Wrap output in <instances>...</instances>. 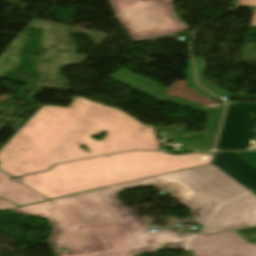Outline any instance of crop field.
Wrapping results in <instances>:
<instances>
[{
	"mask_svg": "<svg viewBox=\"0 0 256 256\" xmlns=\"http://www.w3.org/2000/svg\"><path fill=\"white\" fill-rule=\"evenodd\" d=\"M106 131L96 141L89 135ZM83 144L90 153L77 147ZM159 150L153 125H143L120 109L76 97L68 108L42 106L0 150V169L19 176L53 164L111 153Z\"/></svg>",
	"mask_w": 256,
	"mask_h": 256,
	"instance_id": "1",
	"label": "crop field"
},
{
	"mask_svg": "<svg viewBox=\"0 0 256 256\" xmlns=\"http://www.w3.org/2000/svg\"><path fill=\"white\" fill-rule=\"evenodd\" d=\"M148 184L172 190L169 194L189 207L193 220L201 225L222 203L249 192L209 164L56 199L52 220L57 230L126 222H141L148 227L149 222L137 218L117 198L121 191Z\"/></svg>",
	"mask_w": 256,
	"mask_h": 256,
	"instance_id": "2",
	"label": "crop field"
},
{
	"mask_svg": "<svg viewBox=\"0 0 256 256\" xmlns=\"http://www.w3.org/2000/svg\"><path fill=\"white\" fill-rule=\"evenodd\" d=\"M213 152L172 156L134 151L54 166L20 177V183L52 199L210 162Z\"/></svg>",
	"mask_w": 256,
	"mask_h": 256,
	"instance_id": "3",
	"label": "crop field"
},
{
	"mask_svg": "<svg viewBox=\"0 0 256 256\" xmlns=\"http://www.w3.org/2000/svg\"><path fill=\"white\" fill-rule=\"evenodd\" d=\"M51 242L57 256H83L153 244L148 228L140 223L56 231ZM60 246L70 251L59 253Z\"/></svg>",
	"mask_w": 256,
	"mask_h": 256,
	"instance_id": "4",
	"label": "crop field"
},
{
	"mask_svg": "<svg viewBox=\"0 0 256 256\" xmlns=\"http://www.w3.org/2000/svg\"><path fill=\"white\" fill-rule=\"evenodd\" d=\"M134 42L177 34L186 30L173 16L169 0H109Z\"/></svg>",
	"mask_w": 256,
	"mask_h": 256,
	"instance_id": "5",
	"label": "crop field"
},
{
	"mask_svg": "<svg viewBox=\"0 0 256 256\" xmlns=\"http://www.w3.org/2000/svg\"><path fill=\"white\" fill-rule=\"evenodd\" d=\"M108 77L119 81L127 86H130L136 90H139L147 95H150L158 100L170 101L180 105L189 107L190 109H195L206 113L209 118L205 127L204 135L202 139H193L185 143L184 149L189 150H211L216 138L217 130L219 127L220 119L222 116L223 108L219 107L218 109H208L203 107L204 105H198L170 96H166L161 92L165 88L156 85L148 80H145L126 69H121Z\"/></svg>",
	"mask_w": 256,
	"mask_h": 256,
	"instance_id": "6",
	"label": "crop field"
},
{
	"mask_svg": "<svg viewBox=\"0 0 256 256\" xmlns=\"http://www.w3.org/2000/svg\"><path fill=\"white\" fill-rule=\"evenodd\" d=\"M254 225H256V196L250 192L221 205L199 232L210 234Z\"/></svg>",
	"mask_w": 256,
	"mask_h": 256,
	"instance_id": "7",
	"label": "crop field"
},
{
	"mask_svg": "<svg viewBox=\"0 0 256 256\" xmlns=\"http://www.w3.org/2000/svg\"><path fill=\"white\" fill-rule=\"evenodd\" d=\"M256 121V104L238 102L228 107L217 150L247 149Z\"/></svg>",
	"mask_w": 256,
	"mask_h": 256,
	"instance_id": "8",
	"label": "crop field"
},
{
	"mask_svg": "<svg viewBox=\"0 0 256 256\" xmlns=\"http://www.w3.org/2000/svg\"><path fill=\"white\" fill-rule=\"evenodd\" d=\"M239 237L230 231L193 238L189 245L195 256H256V246Z\"/></svg>",
	"mask_w": 256,
	"mask_h": 256,
	"instance_id": "9",
	"label": "crop field"
},
{
	"mask_svg": "<svg viewBox=\"0 0 256 256\" xmlns=\"http://www.w3.org/2000/svg\"><path fill=\"white\" fill-rule=\"evenodd\" d=\"M212 164L248 190L256 189V168L234 152H216Z\"/></svg>",
	"mask_w": 256,
	"mask_h": 256,
	"instance_id": "10",
	"label": "crop field"
},
{
	"mask_svg": "<svg viewBox=\"0 0 256 256\" xmlns=\"http://www.w3.org/2000/svg\"><path fill=\"white\" fill-rule=\"evenodd\" d=\"M10 178L0 171V198L19 206L47 200L24 185L10 180Z\"/></svg>",
	"mask_w": 256,
	"mask_h": 256,
	"instance_id": "11",
	"label": "crop field"
},
{
	"mask_svg": "<svg viewBox=\"0 0 256 256\" xmlns=\"http://www.w3.org/2000/svg\"><path fill=\"white\" fill-rule=\"evenodd\" d=\"M54 204H55L54 201L51 200V201H47V202H42V203H38V204H33V205H28V206L20 207L17 209H13V211L18 212V213H26V214H32V215H36V216L46 217L51 221V223L53 225L50 215H51V211H52ZM53 229H54V232H53V235H54V233L56 231L54 225H53ZM53 235H52V237H53ZM52 237H51V239H52Z\"/></svg>",
	"mask_w": 256,
	"mask_h": 256,
	"instance_id": "12",
	"label": "crop field"
},
{
	"mask_svg": "<svg viewBox=\"0 0 256 256\" xmlns=\"http://www.w3.org/2000/svg\"><path fill=\"white\" fill-rule=\"evenodd\" d=\"M194 61H195L197 79H198L199 84L220 97L224 96V97L228 98L230 96L229 93L225 92L221 88H219L213 84H210L204 80L203 73L206 71V68H205L203 57L196 58V59H194Z\"/></svg>",
	"mask_w": 256,
	"mask_h": 256,
	"instance_id": "13",
	"label": "crop field"
},
{
	"mask_svg": "<svg viewBox=\"0 0 256 256\" xmlns=\"http://www.w3.org/2000/svg\"><path fill=\"white\" fill-rule=\"evenodd\" d=\"M153 243H163L169 241L181 240L189 237H194V235H180L179 232L175 230V228L169 229H158V232L150 233Z\"/></svg>",
	"mask_w": 256,
	"mask_h": 256,
	"instance_id": "14",
	"label": "crop field"
},
{
	"mask_svg": "<svg viewBox=\"0 0 256 256\" xmlns=\"http://www.w3.org/2000/svg\"><path fill=\"white\" fill-rule=\"evenodd\" d=\"M187 62H188V66H189V69L186 71L188 87L192 88L193 90L197 91L198 93L202 94L203 96L207 97L208 99H210L212 101H220L217 98H215L214 96H212L210 93H208L207 91L199 88L195 84L191 59L187 60Z\"/></svg>",
	"mask_w": 256,
	"mask_h": 256,
	"instance_id": "15",
	"label": "crop field"
},
{
	"mask_svg": "<svg viewBox=\"0 0 256 256\" xmlns=\"http://www.w3.org/2000/svg\"><path fill=\"white\" fill-rule=\"evenodd\" d=\"M134 253H138V251H136L133 248H130V249H125V250H120L115 252L102 253V254L89 255V256H127V254H134Z\"/></svg>",
	"mask_w": 256,
	"mask_h": 256,
	"instance_id": "16",
	"label": "crop field"
},
{
	"mask_svg": "<svg viewBox=\"0 0 256 256\" xmlns=\"http://www.w3.org/2000/svg\"><path fill=\"white\" fill-rule=\"evenodd\" d=\"M256 167V152H235ZM256 195V190L252 191Z\"/></svg>",
	"mask_w": 256,
	"mask_h": 256,
	"instance_id": "17",
	"label": "crop field"
},
{
	"mask_svg": "<svg viewBox=\"0 0 256 256\" xmlns=\"http://www.w3.org/2000/svg\"><path fill=\"white\" fill-rule=\"evenodd\" d=\"M12 207H18V206L15 205V204H12L10 202H7L3 199H0V210L7 209V208H12Z\"/></svg>",
	"mask_w": 256,
	"mask_h": 256,
	"instance_id": "18",
	"label": "crop field"
},
{
	"mask_svg": "<svg viewBox=\"0 0 256 256\" xmlns=\"http://www.w3.org/2000/svg\"><path fill=\"white\" fill-rule=\"evenodd\" d=\"M235 5H247V6H253L255 0H234Z\"/></svg>",
	"mask_w": 256,
	"mask_h": 256,
	"instance_id": "19",
	"label": "crop field"
},
{
	"mask_svg": "<svg viewBox=\"0 0 256 256\" xmlns=\"http://www.w3.org/2000/svg\"><path fill=\"white\" fill-rule=\"evenodd\" d=\"M158 244L156 245H151V246H145V247H137L135 249H137L138 251L142 252V251H146V250H150V249H154L157 247Z\"/></svg>",
	"mask_w": 256,
	"mask_h": 256,
	"instance_id": "20",
	"label": "crop field"
},
{
	"mask_svg": "<svg viewBox=\"0 0 256 256\" xmlns=\"http://www.w3.org/2000/svg\"><path fill=\"white\" fill-rule=\"evenodd\" d=\"M250 27L256 28V8H254V10H253V15H252V20H251Z\"/></svg>",
	"mask_w": 256,
	"mask_h": 256,
	"instance_id": "21",
	"label": "crop field"
},
{
	"mask_svg": "<svg viewBox=\"0 0 256 256\" xmlns=\"http://www.w3.org/2000/svg\"><path fill=\"white\" fill-rule=\"evenodd\" d=\"M256 6V5H255Z\"/></svg>",
	"mask_w": 256,
	"mask_h": 256,
	"instance_id": "22",
	"label": "crop field"
}]
</instances>
